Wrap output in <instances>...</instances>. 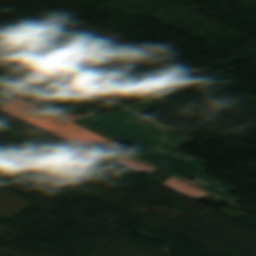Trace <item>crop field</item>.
Instances as JSON below:
<instances>
[{
    "label": "crop field",
    "mask_w": 256,
    "mask_h": 256,
    "mask_svg": "<svg viewBox=\"0 0 256 256\" xmlns=\"http://www.w3.org/2000/svg\"><path fill=\"white\" fill-rule=\"evenodd\" d=\"M164 185L178 191L181 192L189 197H198V196H202L205 194H209L205 191H202L198 188H195L191 185H188L182 181H179L173 177H171L170 179L166 180L164 183Z\"/></svg>",
    "instance_id": "7"
},
{
    "label": "crop field",
    "mask_w": 256,
    "mask_h": 256,
    "mask_svg": "<svg viewBox=\"0 0 256 256\" xmlns=\"http://www.w3.org/2000/svg\"><path fill=\"white\" fill-rule=\"evenodd\" d=\"M0 110L38 126L83 148L97 142L110 148H116L114 143L85 131L71 124V122L53 116L18 98L1 106Z\"/></svg>",
    "instance_id": "2"
},
{
    "label": "crop field",
    "mask_w": 256,
    "mask_h": 256,
    "mask_svg": "<svg viewBox=\"0 0 256 256\" xmlns=\"http://www.w3.org/2000/svg\"><path fill=\"white\" fill-rule=\"evenodd\" d=\"M81 115H73V114H67V113H64L62 115H58V117H61L63 119H66L68 121L72 120V119H75L77 117H80Z\"/></svg>",
    "instance_id": "10"
},
{
    "label": "crop field",
    "mask_w": 256,
    "mask_h": 256,
    "mask_svg": "<svg viewBox=\"0 0 256 256\" xmlns=\"http://www.w3.org/2000/svg\"><path fill=\"white\" fill-rule=\"evenodd\" d=\"M0 132L34 144L27 149L56 163L74 158L70 150L78 148L1 111Z\"/></svg>",
    "instance_id": "3"
},
{
    "label": "crop field",
    "mask_w": 256,
    "mask_h": 256,
    "mask_svg": "<svg viewBox=\"0 0 256 256\" xmlns=\"http://www.w3.org/2000/svg\"><path fill=\"white\" fill-rule=\"evenodd\" d=\"M165 103L164 100L160 99L157 96H153L151 98L145 99L143 101L137 102L135 104L127 106L128 108L136 111L137 113H140L142 111L148 110L150 108L156 107L158 105H161Z\"/></svg>",
    "instance_id": "9"
},
{
    "label": "crop field",
    "mask_w": 256,
    "mask_h": 256,
    "mask_svg": "<svg viewBox=\"0 0 256 256\" xmlns=\"http://www.w3.org/2000/svg\"><path fill=\"white\" fill-rule=\"evenodd\" d=\"M32 89L34 87L18 80L0 77V106Z\"/></svg>",
    "instance_id": "5"
},
{
    "label": "crop field",
    "mask_w": 256,
    "mask_h": 256,
    "mask_svg": "<svg viewBox=\"0 0 256 256\" xmlns=\"http://www.w3.org/2000/svg\"><path fill=\"white\" fill-rule=\"evenodd\" d=\"M116 158H117V161H116L117 163H119L135 172H137L141 169H144L148 172H152V171L156 170V169H153V168H151L145 164H142L134 159H131L123 154L116 156Z\"/></svg>",
    "instance_id": "8"
},
{
    "label": "crop field",
    "mask_w": 256,
    "mask_h": 256,
    "mask_svg": "<svg viewBox=\"0 0 256 256\" xmlns=\"http://www.w3.org/2000/svg\"><path fill=\"white\" fill-rule=\"evenodd\" d=\"M129 154L148 162L166 172H169L179 178H182L188 174H192L198 178L194 184L230 201V202H238L239 199L227 194L228 192L234 190L233 188L214 180L204 174H202L205 169L201 168L199 165L202 163L199 160H196L191 157L184 156L177 152H173L165 157H162L156 161H153L135 151L128 152ZM127 154V153H126ZM128 154V155H129ZM130 155V156H131ZM204 162V161H203Z\"/></svg>",
    "instance_id": "4"
},
{
    "label": "crop field",
    "mask_w": 256,
    "mask_h": 256,
    "mask_svg": "<svg viewBox=\"0 0 256 256\" xmlns=\"http://www.w3.org/2000/svg\"><path fill=\"white\" fill-rule=\"evenodd\" d=\"M74 123L106 138L130 143L135 151L156 160L187 142V137H174L166 128L147 121L125 109L101 115L92 114Z\"/></svg>",
    "instance_id": "1"
},
{
    "label": "crop field",
    "mask_w": 256,
    "mask_h": 256,
    "mask_svg": "<svg viewBox=\"0 0 256 256\" xmlns=\"http://www.w3.org/2000/svg\"><path fill=\"white\" fill-rule=\"evenodd\" d=\"M30 203L20 200L0 189V216L10 218L28 208Z\"/></svg>",
    "instance_id": "6"
}]
</instances>
